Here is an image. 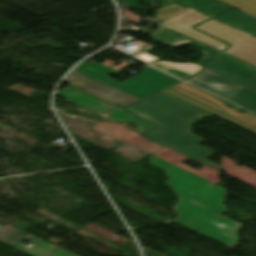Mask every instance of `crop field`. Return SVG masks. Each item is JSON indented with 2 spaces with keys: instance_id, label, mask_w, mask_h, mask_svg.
Listing matches in <instances>:
<instances>
[{
  "instance_id": "1",
  "label": "crop field",
  "mask_w": 256,
  "mask_h": 256,
  "mask_svg": "<svg viewBox=\"0 0 256 256\" xmlns=\"http://www.w3.org/2000/svg\"><path fill=\"white\" fill-rule=\"evenodd\" d=\"M150 160L151 165L165 171L166 177L170 178L165 184L173 189L179 197L178 201L180 202L178 205L197 212L222 225L228 223L239 229L240 224L220 215L227 210L223 205L226 190L215 185H211L213 188H210L209 182L194 177L153 156L150 157ZM196 185H200V187L198 188ZM188 200L206 208L204 209Z\"/></svg>"
},
{
  "instance_id": "2",
  "label": "crop field",
  "mask_w": 256,
  "mask_h": 256,
  "mask_svg": "<svg viewBox=\"0 0 256 256\" xmlns=\"http://www.w3.org/2000/svg\"><path fill=\"white\" fill-rule=\"evenodd\" d=\"M127 110L159 126L158 129L144 135L145 137L221 171V166L205 159L214 152L198 146L205 140L191 132L193 124H189L143 101Z\"/></svg>"
},
{
  "instance_id": "3",
  "label": "crop field",
  "mask_w": 256,
  "mask_h": 256,
  "mask_svg": "<svg viewBox=\"0 0 256 256\" xmlns=\"http://www.w3.org/2000/svg\"><path fill=\"white\" fill-rule=\"evenodd\" d=\"M152 39L163 43L169 47L180 46L187 42H193L203 46V54L205 56L197 63V65L204 67L212 58L221 53L211 47L203 45L193 39H190L180 33L172 31L168 28L160 26L157 35H151ZM207 69L226 76L230 79L238 81L242 84L254 79L256 77V68L246 64L240 60L230 57L224 53L212 62Z\"/></svg>"
},
{
  "instance_id": "4",
  "label": "crop field",
  "mask_w": 256,
  "mask_h": 256,
  "mask_svg": "<svg viewBox=\"0 0 256 256\" xmlns=\"http://www.w3.org/2000/svg\"><path fill=\"white\" fill-rule=\"evenodd\" d=\"M163 92L256 134V115L250 112L246 114L237 113L240 109L237 107L226 109L221 99L183 82Z\"/></svg>"
},
{
  "instance_id": "5",
  "label": "crop field",
  "mask_w": 256,
  "mask_h": 256,
  "mask_svg": "<svg viewBox=\"0 0 256 256\" xmlns=\"http://www.w3.org/2000/svg\"><path fill=\"white\" fill-rule=\"evenodd\" d=\"M186 81L256 113V92L241 86L242 84L238 82L207 69L203 70L195 78Z\"/></svg>"
},
{
  "instance_id": "6",
  "label": "crop field",
  "mask_w": 256,
  "mask_h": 256,
  "mask_svg": "<svg viewBox=\"0 0 256 256\" xmlns=\"http://www.w3.org/2000/svg\"><path fill=\"white\" fill-rule=\"evenodd\" d=\"M98 81H101L109 86H112L116 89H119L123 92H126L140 100L158 92L132 78L122 80V81H115L109 78L107 75L113 74L116 75L117 71L110 69L100 63L95 61H90L88 63L82 64L78 66L76 69Z\"/></svg>"
},
{
  "instance_id": "7",
  "label": "crop field",
  "mask_w": 256,
  "mask_h": 256,
  "mask_svg": "<svg viewBox=\"0 0 256 256\" xmlns=\"http://www.w3.org/2000/svg\"><path fill=\"white\" fill-rule=\"evenodd\" d=\"M90 77L74 70L64 82L113 105L126 107L140 100L102 84L98 81H89ZM92 79V78H91Z\"/></svg>"
},
{
  "instance_id": "8",
  "label": "crop field",
  "mask_w": 256,
  "mask_h": 256,
  "mask_svg": "<svg viewBox=\"0 0 256 256\" xmlns=\"http://www.w3.org/2000/svg\"><path fill=\"white\" fill-rule=\"evenodd\" d=\"M176 209L179 216L175 222L231 248L238 242L236 239L218 233L222 225L178 205Z\"/></svg>"
},
{
  "instance_id": "9",
  "label": "crop field",
  "mask_w": 256,
  "mask_h": 256,
  "mask_svg": "<svg viewBox=\"0 0 256 256\" xmlns=\"http://www.w3.org/2000/svg\"><path fill=\"white\" fill-rule=\"evenodd\" d=\"M144 101L189 123L199 120L205 116H212L163 92H160Z\"/></svg>"
},
{
  "instance_id": "10",
  "label": "crop field",
  "mask_w": 256,
  "mask_h": 256,
  "mask_svg": "<svg viewBox=\"0 0 256 256\" xmlns=\"http://www.w3.org/2000/svg\"><path fill=\"white\" fill-rule=\"evenodd\" d=\"M152 155H154V156H156V157H158V158H160L164 161H167V162H169V163H171L175 166H178V167H180L184 170H187V171H189V172H191L195 175H198V176L208 180L209 182H211L215 185H217L219 180H220V171L215 170L213 168H210L206 165H203L201 163H198V162L190 159V160H192V161H194V162L203 166L199 171H197V170H195L191 167H188V166L182 164V162H181L182 159H189V158H187L185 156H182V155H180L176 152H173V151H171L167 148H163V149L159 150L158 152H156Z\"/></svg>"
},
{
  "instance_id": "11",
  "label": "crop field",
  "mask_w": 256,
  "mask_h": 256,
  "mask_svg": "<svg viewBox=\"0 0 256 256\" xmlns=\"http://www.w3.org/2000/svg\"><path fill=\"white\" fill-rule=\"evenodd\" d=\"M57 95L99 115L115 106L76 90L70 86L57 92Z\"/></svg>"
},
{
  "instance_id": "12",
  "label": "crop field",
  "mask_w": 256,
  "mask_h": 256,
  "mask_svg": "<svg viewBox=\"0 0 256 256\" xmlns=\"http://www.w3.org/2000/svg\"><path fill=\"white\" fill-rule=\"evenodd\" d=\"M215 19L256 37V18L241 11L233 9Z\"/></svg>"
},
{
  "instance_id": "13",
  "label": "crop field",
  "mask_w": 256,
  "mask_h": 256,
  "mask_svg": "<svg viewBox=\"0 0 256 256\" xmlns=\"http://www.w3.org/2000/svg\"><path fill=\"white\" fill-rule=\"evenodd\" d=\"M159 91L172 86L180 81L163 74L149 66L142 67L140 74L133 77Z\"/></svg>"
},
{
  "instance_id": "14",
  "label": "crop field",
  "mask_w": 256,
  "mask_h": 256,
  "mask_svg": "<svg viewBox=\"0 0 256 256\" xmlns=\"http://www.w3.org/2000/svg\"><path fill=\"white\" fill-rule=\"evenodd\" d=\"M100 116H102L112 122L126 121V122L133 123L137 126L140 133H144V132L156 127L155 125H151L141 119H138V118L128 114L126 111H124L123 109L118 108V107L116 109L110 110Z\"/></svg>"
},
{
  "instance_id": "15",
  "label": "crop field",
  "mask_w": 256,
  "mask_h": 256,
  "mask_svg": "<svg viewBox=\"0 0 256 256\" xmlns=\"http://www.w3.org/2000/svg\"><path fill=\"white\" fill-rule=\"evenodd\" d=\"M186 6L196 9L210 17L230 8L215 0H176Z\"/></svg>"
},
{
  "instance_id": "16",
  "label": "crop field",
  "mask_w": 256,
  "mask_h": 256,
  "mask_svg": "<svg viewBox=\"0 0 256 256\" xmlns=\"http://www.w3.org/2000/svg\"><path fill=\"white\" fill-rule=\"evenodd\" d=\"M25 239L34 242L35 245L33 247L29 248L21 243H11L10 246H12L26 254H29L31 256H43V255L49 253L50 251H52L53 249L57 248V247L52 246V245H50L32 235L26 237Z\"/></svg>"
},
{
  "instance_id": "17",
  "label": "crop field",
  "mask_w": 256,
  "mask_h": 256,
  "mask_svg": "<svg viewBox=\"0 0 256 256\" xmlns=\"http://www.w3.org/2000/svg\"><path fill=\"white\" fill-rule=\"evenodd\" d=\"M154 67H157L161 70H164L168 73H171L181 79H185L193 74H195L201 67L195 64H170V65H160L153 63L151 64Z\"/></svg>"
},
{
  "instance_id": "18",
  "label": "crop field",
  "mask_w": 256,
  "mask_h": 256,
  "mask_svg": "<svg viewBox=\"0 0 256 256\" xmlns=\"http://www.w3.org/2000/svg\"><path fill=\"white\" fill-rule=\"evenodd\" d=\"M256 17V0H220Z\"/></svg>"
},
{
  "instance_id": "19",
  "label": "crop field",
  "mask_w": 256,
  "mask_h": 256,
  "mask_svg": "<svg viewBox=\"0 0 256 256\" xmlns=\"http://www.w3.org/2000/svg\"><path fill=\"white\" fill-rule=\"evenodd\" d=\"M237 231H238V229L227 224V225L223 226V228L220 230V233L238 239Z\"/></svg>"
},
{
  "instance_id": "20",
  "label": "crop field",
  "mask_w": 256,
  "mask_h": 256,
  "mask_svg": "<svg viewBox=\"0 0 256 256\" xmlns=\"http://www.w3.org/2000/svg\"><path fill=\"white\" fill-rule=\"evenodd\" d=\"M48 256H75V255L59 249V250L49 254Z\"/></svg>"
},
{
  "instance_id": "21",
  "label": "crop field",
  "mask_w": 256,
  "mask_h": 256,
  "mask_svg": "<svg viewBox=\"0 0 256 256\" xmlns=\"http://www.w3.org/2000/svg\"><path fill=\"white\" fill-rule=\"evenodd\" d=\"M161 147H162V146L153 143V144H151V145H149V146L147 147V153L151 154V153L155 152L156 150H158V149L161 148Z\"/></svg>"
},
{
  "instance_id": "22",
  "label": "crop field",
  "mask_w": 256,
  "mask_h": 256,
  "mask_svg": "<svg viewBox=\"0 0 256 256\" xmlns=\"http://www.w3.org/2000/svg\"><path fill=\"white\" fill-rule=\"evenodd\" d=\"M243 86H245V87H247V88H249L251 90L256 91V78L254 80L244 84Z\"/></svg>"
},
{
  "instance_id": "23",
  "label": "crop field",
  "mask_w": 256,
  "mask_h": 256,
  "mask_svg": "<svg viewBox=\"0 0 256 256\" xmlns=\"http://www.w3.org/2000/svg\"><path fill=\"white\" fill-rule=\"evenodd\" d=\"M159 1H161L162 7L165 5L171 4L173 2H176L174 0H159Z\"/></svg>"
},
{
  "instance_id": "24",
  "label": "crop field",
  "mask_w": 256,
  "mask_h": 256,
  "mask_svg": "<svg viewBox=\"0 0 256 256\" xmlns=\"http://www.w3.org/2000/svg\"><path fill=\"white\" fill-rule=\"evenodd\" d=\"M157 63H161V64H169V63H172V62H157Z\"/></svg>"
}]
</instances>
